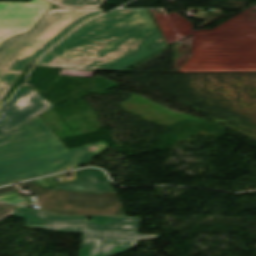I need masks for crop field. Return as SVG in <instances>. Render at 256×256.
Returning <instances> with one entry per match:
<instances>
[{
  "label": "crop field",
  "instance_id": "obj_3",
  "mask_svg": "<svg viewBox=\"0 0 256 256\" xmlns=\"http://www.w3.org/2000/svg\"><path fill=\"white\" fill-rule=\"evenodd\" d=\"M26 225L50 232L84 233L79 256H112L129 250L139 239L159 235H137L140 217L60 216L31 208L16 207ZM86 217L92 221H85Z\"/></svg>",
  "mask_w": 256,
  "mask_h": 256
},
{
  "label": "crop field",
  "instance_id": "obj_6",
  "mask_svg": "<svg viewBox=\"0 0 256 256\" xmlns=\"http://www.w3.org/2000/svg\"><path fill=\"white\" fill-rule=\"evenodd\" d=\"M50 6L43 0H32L30 3L0 2V43L30 30Z\"/></svg>",
  "mask_w": 256,
  "mask_h": 256
},
{
  "label": "crop field",
  "instance_id": "obj_1",
  "mask_svg": "<svg viewBox=\"0 0 256 256\" xmlns=\"http://www.w3.org/2000/svg\"><path fill=\"white\" fill-rule=\"evenodd\" d=\"M165 47L146 10H118L82 25L35 66L119 72Z\"/></svg>",
  "mask_w": 256,
  "mask_h": 256
},
{
  "label": "crop field",
  "instance_id": "obj_11",
  "mask_svg": "<svg viewBox=\"0 0 256 256\" xmlns=\"http://www.w3.org/2000/svg\"><path fill=\"white\" fill-rule=\"evenodd\" d=\"M94 71L61 69L59 75L92 77Z\"/></svg>",
  "mask_w": 256,
  "mask_h": 256
},
{
  "label": "crop field",
  "instance_id": "obj_10",
  "mask_svg": "<svg viewBox=\"0 0 256 256\" xmlns=\"http://www.w3.org/2000/svg\"><path fill=\"white\" fill-rule=\"evenodd\" d=\"M17 189L18 188L15 185L0 189V200L5 202H10L13 204H19L21 206L28 205V203L25 200H23L18 195L13 194L11 192Z\"/></svg>",
  "mask_w": 256,
  "mask_h": 256
},
{
  "label": "crop field",
  "instance_id": "obj_2",
  "mask_svg": "<svg viewBox=\"0 0 256 256\" xmlns=\"http://www.w3.org/2000/svg\"><path fill=\"white\" fill-rule=\"evenodd\" d=\"M107 148L101 141L68 150L38 116L0 136V186L66 171Z\"/></svg>",
  "mask_w": 256,
  "mask_h": 256
},
{
  "label": "crop field",
  "instance_id": "obj_9",
  "mask_svg": "<svg viewBox=\"0 0 256 256\" xmlns=\"http://www.w3.org/2000/svg\"><path fill=\"white\" fill-rule=\"evenodd\" d=\"M61 8L100 7L105 0H48Z\"/></svg>",
  "mask_w": 256,
  "mask_h": 256
},
{
  "label": "crop field",
  "instance_id": "obj_5",
  "mask_svg": "<svg viewBox=\"0 0 256 256\" xmlns=\"http://www.w3.org/2000/svg\"><path fill=\"white\" fill-rule=\"evenodd\" d=\"M28 187L37 197L43 211L60 215H111L124 216L115 191L88 194L59 190L42 189L33 181L18 184Z\"/></svg>",
  "mask_w": 256,
  "mask_h": 256
},
{
  "label": "crop field",
  "instance_id": "obj_7",
  "mask_svg": "<svg viewBox=\"0 0 256 256\" xmlns=\"http://www.w3.org/2000/svg\"><path fill=\"white\" fill-rule=\"evenodd\" d=\"M51 107L53 106L32 89L15 92L8 102L0 106V134Z\"/></svg>",
  "mask_w": 256,
  "mask_h": 256
},
{
  "label": "crop field",
  "instance_id": "obj_4",
  "mask_svg": "<svg viewBox=\"0 0 256 256\" xmlns=\"http://www.w3.org/2000/svg\"><path fill=\"white\" fill-rule=\"evenodd\" d=\"M100 13L98 9L50 10L34 29L2 44L0 48V102L26 65L63 39L74 28Z\"/></svg>",
  "mask_w": 256,
  "mask_h": 256
},
{
  "label": "crop field",
  "instance_id": "obj_8",
  "mask_svg": "<svg viewBox=\"0 0 256 256\" xmlns=\"http://www.w3.org/2000/svg\"><path fill=\"white\" fill-rule=\"evenodd\" d=\"M81 179L49 187L42 179L35 180L42 188L59 189L80 192L100 193L112 191L114 188L105 174L98 169H85L74 172Z\"/></svg>",
  "mask_w": 256,
  "mask_h": 256
},
{
  "label": "crop field",
  "instance_id": "obj_12",
  "mask_svg": "<svg viewBox=\"0 0 256 256\" xmlns=\"http://www.w3.org/2000/svg\"><path fill=\"white\" fill-rule=\"evenodd\" d=\"M14 205L6 204L0 202V220L4 219L5 217L11 215L15 211Z\"/></svg>",
  "mask_w": 256,
  "mask_h": 256
}]
</instances>
